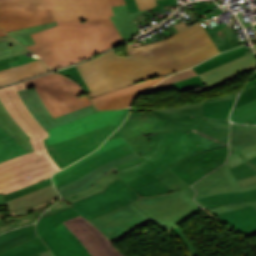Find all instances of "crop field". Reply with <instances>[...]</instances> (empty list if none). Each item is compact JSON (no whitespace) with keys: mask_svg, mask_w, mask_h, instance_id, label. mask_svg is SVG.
<instances>
[{"mask_svg":"<svg viewBox=\"0 0 256 256\" xmlns=\"http://www.w3.org/2000/svg\"><path fill=\"white\" fill-rule=\"evenodd\" d=\"M7 35L2 29H0V36Z\"/></svg>","mask_w":256,"mask_h":256,"instance_id":"56","label":"crop field"},{"mask_svg":"<svg viewBox=\"0 0 256 256\" xmlns=\"http://www.w3.org/2000/svg\"><path fill=\"white\" fill-rule=\"evenodd\" d=\"M25 54H21V55H17V56H13V57H10L7 59L0 60V70L7 69L10 67H14V66L35 60V58H27L25 56ZM37 59H39V58H37Z\"/></svg>","mask_w":256,"mask_h":256,"instance_id":"42","label":"crop field"},{"mask_svg":"<svg viewBox=\"0 0 256 256\" xmlns=\"http://www.w3.org/2000/svg\"><path fill=\"white\" fill-rule=\"evenodd\" d=\"M232 20L235 23H233L230 26H227L223 23L217 25L214 18L202 21V24L206 28L207 32L215 42L220 52L240 46L239 41L237 40V38L235 37L234 33L231 30V26L237 24V21L235 17Z\"/></svg>","mask_w":256,"mask_h":256,"instance_id":"22","label":"crop field"},{"mask_svg":"<svg viewBox=\"0 0 256 256\" xmlns=\"http://www.w3.org/2000/svg\"><path fill=\"white\" fill-rule=\"evenodd\" d=\"M28 51L27 48L23 47L9 36L0 37V59Z\"/></svg>","mask_w":256,"mask_h":256,"instance_id":"37","label":"crop field"},{"mask_svg":"<svg viewBox=\"0 0 256 256\" xmlns=\"http://www.w3.org/2000/svg\"><path fill=\"white\" fill-rule=\"evenodd\" d=\"M57 72L71 77L72 79H74L76 82H78L81 85V87L84 89L85 93L89 92L88 87L84 83L83 79L81 78V76L78 73L75 66L71 67V68H68V69L60 70V71H57Z\"/></svg>","mask_w":256,"mask_h":256,"instance_id":"44","label":"crop field"},{"mask_svg":"<svg viewBox=\"0 0 256 256\" xmlns=\"http://www.w3.org/2000/svg\"><path fill=\"white\" fill-rule=\"evenodd\" d=\"M51 180L50 178L45 180V181H42V182H39L37 184H34V185H31V186H28V187H25L23 189H20V190H17V191H14L12 193H9L7 195H4V199L7 201V200H11V199H14V198H17L19 196H22V195H25V194H28L34 190H37L39 188H42L46 185H49L51 184Z\"/></svg>","mask_w":256,"mask_h":256,"instance_id":"41","label":"crop field"},{"mask_svg":"<svg viewBox=\"0 0 256 256\" xmlns=\"http://www.w3.org/2000/svg\"><path fill=\"white\" fill-rule=\"evenodd\" d=\"M130 108L116 111H99L79 120L48 129L46 147L55 162L64 168L97 149L82 123L97 117L129 111Z\"/></svg>","mask_w":256,"mask_h":256,"instance_id":"6","label":"crop field"},{"mask_svg":"<svg viewBox=\"0 0 256 256\" xmlns=\"http://www.w3.org/2000/svg\"><path fill=\"white\" fill-rule=\"evenodd\" d=\"M50 71L52 70L46 67L41 59L32 61L21 66L0 71V86Z\"/></svg>","mask_w":256,"mask_h":256,"instance_id":"24","label":"crop field"},{"mask_svg":"<svg viewBox=\"0 0 256 256\" xmlns=\"http://www.w3.org/2000/svg\"><path fill=\"white\" fill-rule=\"evenodd\" d=\"M196 123L160 119L147 112L131 111L124 124L108 139L123 136L139 154L150 148L145 135L180 129H195ZM140 135V136H138Z\"/></svg>","mask_w":256,"mask_h":256,"instance_id":"9","label":"crop field"},{"mask_svg":"<svg viewBox=\"0 0 256 256\" xmlns=\"http://www.w3.org/2000/svg\"><path fill=\"white\" fill-rule=\"evenodd\" d=\"M0 127L3 128L14 140H16L28 152L33 151L28 137L14 122L9 113L0 102Z\"/></svg>","mask_w":256,"mask_h":256,"instance_id":"30","label":"crop field"},{"mask_svg":"<svg viewBox=\"0 0 256 256\" xmlns=\"http://www.w3.org/2000/svg\"><path fill=\"white\" fill-rule=\"evenodd\" d=\"M249 205H252L256 209V201H255V202H243V203L230 204V205L211 209V211H213L215 214H217L220 212L230 211V210L242 208V207L249 206Z\"/></svg>","mask_w":256,"mask_h":256,"instance_id":"45","label":"crop field"},{"mask_svg":"<svg viewBox=\"0 0 256 256\" xmlns=\"http://www.w3.org/2000/svg\"><path fill=\"white\" fill-rule=\"evenodd\" d=\"M236 99L220 102L203 103L205 117L220 118L228 120L231 108Z\"/></svg>","mask_w":256,"mask_h":256,"instance_id":"35","label":"crop field"},{"mask_svg":"<svg viewBox=\"0 0 256 256\" xmlns=\"http://www.w3.org/2000/svg\"><path fill=\"white\" fill-rule=\"evenodd\" d=\"M215 6H216L215 4H211V5H209V7L203 8L202 11L204 12V11L212 10L213 7H215ZM217 8H218V7H217Z\"/></svg>","mask_w":256,"mask_h":256,"instance_id":"53","label":"crop field"},{"mask_svg":"<svg viewBox=\"0 0 256 256\" xmlns=\"http://www.w3.org/2000/svg\"><path fill=\"white\" fill-rule=\"evenodd\" d=\"M253 118H256V100L239 108L233 109L230 116V119L237 123H244Z\"/></svg>","mask_w":256,"mask_h":256,"instance_id":"38","label":"crop field"},{"mask_svg":"<svg viewBox=\"0 0 256 256\" xmlns=\"http://www.w3.org/2000/svg\"><path fill=\"white\" fill-rule=\"evenodd\" d=\"M254 56L255 54L254 52H252L248 55L216 67L212 70L201 73L198 76L207 84L208 88L210 89L212 87L221 85L244 72L254 70L256 68V57ZM196 75L197 74L192 68L181 71L166 78L165 80L144 93L171 89L172 87L170 83L190 78Z\"/></svg>","mask_w":256,"mask_h":256,"instance_id":"14","label":"crop field"},{"mask_svg":"<svg viewBox=\"0 0 256 256\" xmlns=\"http://www.w3.org/2000/svg\"><path fill=\"white\" fill-rule=\"evenodd\" d=\"M77 215L79 213L71 207L38 221L37 232L55 256H91L74 234L61 223Z\"/></svg>","mask_w":256,"mask_h":256,"instance_id":"10","label":"crop field"},{"mask_svg":"<svg viewBox=\"0 0 256 256\" xmlns=\"http://www.w3.org/2000/svg\"><path fill=\"white\" fill-rule=\"evenodd\" d=\"M156 1H157L158 6L151 9L153 14H154V12H157L159 9H161L164 6L177 4V0H156Z\"/></svg>","mask_w":256,"mask_h":256,"instance_id":"49","label":"crop field"},{"mask_svg":"<svg viewBox=\"0 0 256 256\" xmlns=\"http://www.w3.org/2000/svg\"><path fill=\"white\" fill-rule=\"evenodd\" d=\"M255 156H256V144L240 149L236 152H233L232 154L229 155L226 163L229 166V168H231ZM238 182L240 183L241 186L256 182V175L242 179V180H238Z\"/></svg>","mask_w":256,"mask_h":256,"instance_id":"32","label":"crop field"},{"mask_svg":"<svg viewBox=\"0 0 256 256\" xmlns=\"http://www.w3.org/2000/svg\"><path fill=\"white\" fill-rule=\"evenodd\" d=\"M136 157L134 152L58 187L61 201L40 218L73 206L110 240L147 219L146 216L166 231L201 208L183 191L173 192L155 177L169 170L164 165L125 184L113 173V167Z\"/></svg>","mask_w":256,"mask_h":256,"instance_id":"1","label":"crop field"},{"mask_svg":"<svg viewBox=\"0 0 256 256\" xmlns=\"http://www.w3.org/2000/svg\"><path fill=\"white\" fill-rule=\"evenodd\" d=\"M256 200V189L246 192L237 193H225L212 195L195 201L202 205L204 208L211 209L225 204L243 202V201H255Z\"/></svg>","mask_w":256,"mask_h":256,"instance_id":"26","label":"crop field"},{"mask_svg":"<svg viewBox=\"0 0 256 256\" xmlns=\"http://www.w3.org/2000/svg\"><path fill=\"white\" fill-rule=\"evenodd\" d=\"M237 15H238V17H239L241 23L244 25V27L251 26V23L245 24V22H244V20H243V18H242V16H241V14H240V12L237 13Z\"/></svg>","mask_w":256,"mask_h":256,"instance_id":"52","label":"crop field"},{"mask_svg":"<svg viewBox=\"0 0 256 256\" xmlns=\"http://www.w3.org/2000/svg\"><path fill=\"white\" fill-rule=\"evenodd\" d=\"M254 28H255V30H256V25H254Z\"/></svg>","mask_w":256,"mask_h":256,"instance_id":"58","label":"crop field"},{"mask_svg":"<svg viewBox=\"0 0 256 256\" xmlns=\"http://www.w3.org/2000/svg\"><path fill=\"white\" fill-rule=\"evenodd\" d=\"M216 216L247 238L256 234V210L252 206L220 213Z\"/></svg>","mask_w":256,"mask_h":256,"instance_id":"20","label":"crop field"},{"mask_svg":"<svg viewBox=\"0 0 256 256\" xmlns=\"http://www.w3.org/2000/svg\"><path fill=\"white\" fill-rule=\"evenodd\" d=\"M48 250V248L42 243L39 237H35L13 249H10L0 256H29Z\"/></svg>","mask_w":256,"mask_h":256,"instance_id":"34","label":"crop field"},{"mask_svg":"<svg viewBox=\"0 0 256 256\" xmlns=\"http://www.w3.org/2000/svg\"><path fill=\"white\" fill-rule=\"evenodd\" d=\"M193 4H194V6H195V8H196V10H197V12H198V14L203 18V20L208 19V18H212V17H215V16L221 14V12H217V13H214V14H210V15L205 16V15L201 12L200 8L206 7L207 4H206L205 2H198V3H193Z\"/></svg>","mask_w":256,"mask_h":256,"instance_id":"48","label":"crop field"},{"mask_svg":"<svg viewBox=\"0 0 256 256\" xmlns=\"http://www.w3.org/2000/svg\"><path fill=\"white\" fill-rule=\"evenodd\" d=\"M131 110L151 112L161 118L197 122L196 130L206 148L211 149L228 144L229 121L204 118L202 101L161 109Z\"/></svg>","mask_w":256,"mask_h":256,"instance_id":"8","label":"crop field"},{"mask_svg":"<svg viewBox=\"0 0 256 256\" xmlns=\"http://www.w3.org/2000/svg\"><path fill=\"white\" fill-rule=\"evenodd\" d=\"M115 16H112L111 19L115 26L117 27L118 31L122 35L123 39H130L137 34L141 33L138 28L135 26L132 18L146 13L147 11L135 12V13H128L126 6H115L112 7Z\"/></svg>","mask_w":256,"mask_h":256,"instance_id":"25","label":"crop field"},{"mask_svg":"<svg viewBox=\"0 0 256 256\" xmlns=\"http://www.w3.org/2000/svg\"><path fill=\"white\" fill-rule=\"evenodd\" d=\"M134 151L135 150L124 140L123 137L105 141L104 144L92 154L54 174L52 176L53 183L55 187L62 186L108 161L122 157Z\"/></svg>","mask_w":256,"mask_h":256,"instance_id":"13","label":"crop field"},{"mask_svg":"<svg viewBox=\"0 0 256 256\" xmlns=\"http://www.w3.org/2000/svg\"><path fill=\"white\" fill-rule=\"evenodd\" d=\"M252 48L251 47H248L246 48L245 46H241L237 49H234V50H231V51H227V52H223L217 56H215L214 58L198 65V66H195L193 67V69L195 70V72L197 74L201 73V72H204V71H207L209 69H212L216 66H219L221 64H224L228 61H231L235 58H238L240 56H243L247 53H250L252 52Z\"/></svg>","mask_w":256,"mask_h":256,"instance_id":"31","label":"crop field"},{"mask_svg":"<svg viewBox=\"0 0 256 256\" xmlns=\"http://www.w3.org/2000/svg\"><path fill=\"white\" fill-rule=\"evenodd\" d=\"M33 256H39V254H37V255H33Z\"/></svg>","mask_w":256,"mask_h":256,"instance_id":"59","label":"crop field"},{"mask_svg":"<svg viewBox=\"0 0 256 256\" xmlns=\"http://www.w3.org/2000/svg\"><path fill=\"white\" fill-rule=\"evenodd\" d=\"M56 21L50 0H0V27L6 32Z\"/></svg>","mask_w":256,"mask_h":256,"instance_id":"11","label":"crop field"},{"mask_svg":"<svg viewBox=\"0 0 256 256\" xmlns=\"http://www.w3.org/2000/svg\"><path fill=\"white\" fill-rule=\"evenodd\" d=\"M59 199V196L55 197L54 199L50 200L49 202L39 205L37 207L25 208L13 212H9L11 217L3 220L0 218V233L5 232L9 229L28 225L36 221L38 216L41 214L39 212H35L33 209L43 207L49 204L55 203ZM5 204L4 199L0 194V205ZM1 216V214H0Z\"/></svg>","mask_w":256,"mask_h":256,"instance_id":"23","label":"crop field"},{"mask_svg":"<svg viewBox=\"0 0 256 256\" xmlns=\"http://www.w3.org/2000/svg\"><path fill=\"white\" fill-rule=\"evenodd\" d=\"M56 25H57L56 22L47 23V24H43L40 26H36V27H32V28H28V29H24V30H20V31L9 32L8 34H10L12 37H14L16 40H18L23 45L28 46V45L34 44L30 34L40 31V30H43V29H46V28H49V27L56 26Z\"/></svg>","mask_w":256,"mask_h":256,"instance_id":"39","label":"crop field"},{"mask_svg":"<svg viewBox=\"0 0 256 256\" xmlns=\"http://www.w3.org/2000/svg\"><path fill=\"white\" fill-rule=\"evenodd\" d=\"M254 78H256V72L250 77L249 80H252V79H254Z\"/></svg>","mask_w":256,"mask_h":256,"instance_id":"57","label":"crop field"},{"mask_svg":"<svg viewBox=\"0 0 256 256\" xmlns=\"http://www.w3.org/2000/svg\"><path fill=\"white\" fill-rule=\"evenodd\" d=\"M41 256H54L51 251H48L46 253H42Z\"/></svg>","mask_w":256,"mask_h":256,"instance_id":"54","label":"crop field"},{"mask_svg":"<svg viewBox=\"0 0 256 256\" xmlns=\"http://www.w3.org/2000/svg\"><path fill=\"white\" fill-rule=\"evenodd\" d=\"M19 94L23 99L26 107L45 129L55 127L60 124L70 122L78 118L84 117L86 115L92 114L94 112H97L95 107L91 105L78 111L72 112L70 114L53 119L47 111L44 104L42 103L41 99L39 98L35 88L20 91Z\"/></svg>","mask_w":256,"mask_h":256,"instance_id":"18","label":"crop field"},{"mask_svg":"<svg viewBox=\"0 0 256 256\" xmlns=\"http://www.w3.org/2000/svg\"><path fill=\"white\" fill-rule=\"evenodd\" d=\"M164 78V76H160L132 85H128L122 89L111 91L101 96H97L91 99V101L97 106L98 109H120L128 107L131 105L134 98L138 94L142 93L152 85L160 82Z\"/></svg>","mask_w":256,"mask_h":256,"instance_id":"19","label":"crop field"},{"mask_svg":"<svg viewBox=\"0 0 256 256\" xmlns=\"http://www.w3.org/2000/svg\"><path fill=\"white\" fill-rule=\"evenodd\" d=\"M147 137L151 143L150 150L115 167V174L127 184L163 164L168 167L191 153L205 150L196 130L172 131Z\"/></svg>","mask_w":256,"mask_h":256,"instance_id":"5","label":"crop field"},{"mask_svg":"<svg viewBox=\"0 0 256 256\" xmlns=\"http://www.w3.org/2000/svg\"><path fill=\"white\" fill-rule=\"evenodd\" d=\"M58 25L112 16L108 0H51Z\"/></svg>","mask_w":256,"mask_h":256,"instance_id":"16","label":"crop field"},{"mask_svg":"<svg viewBox=\"0 0 256 256\" xmlns=\"http://www.w3.org/2000/svg\"><path fill=\"white\" fill-rule=\"evenodd\" d=\"M256 143V126L231 124L230 153Z\"/></svg>","mask_w":256,"mask_h":256,"instance_id":"28","label":"crop field"},{"mask_svg":"<svg viewBox=\"0 0 256 256\" xmlns=\"http://www.w3.org/2000/svg\"><path fill=\"white\" fill-rule=\"evenodd\" d=\"M32 37L36 45L27 48L53 69L77 63L124 42L110 17L56 26Z\"/></svg>","mask_w":256,"mask_h":256,"instance_id":"3","label":"crop field"},{"mask_svg":"<svg viewBox=\"0 0 256 256\" xmlns=\"http://www.w3.org/2000/svg\"><path fill=\"white\" fill-rule=\"evenodd\" d=\"M179 31L167 40L133 48L125 44L127 57L111 50L91 61L76 65L89 87V99L145 79L192 67L219 50L201 22L174 25Z\"/></svg>","mask_w":256,"mask_h":256,"instance_id":"2","label":"crop field"},{"mask_svg":"<svg viewBox=\"0 0 256 256\" xmlns=\"http://www.w3.org/2000/svg\"><path fill=\"white\" fill-rule=\"evenodd\" d=\"M25 89L23 82L0 89L1 102L19 127L32 138L30 141L34 150L0 163L2 195L45 180L60 170L50 157L43 141L49 133L34 119L17 92Z\"/></svg>","mask_w":256,"mask_h":256,"instance_id":"4","label":"crop field"},{"mask_svg":"<svg viewBox=\"0 0 256 256\" xmlns=\"http://www.w3.org/2000/svg\"><path fill=\"white\" fill-rule=\"evenodd\" d=\"M168 188L173 191L177 189L183 190L187 195L193 198L195 191L187 185L182 179H180L175 173L171 170L157 176Z\"/></svg>","mask_w":256,"mask_h":256,"instance_id":"36","label":"crop field"},{"mask_svg":"<svg viewBox=\"0 0 256 256\" xmlns=\"http://www.w3.org/2000/svg\"><path fill=\"white\" fill-rule=\"evenodd\" d=\"M126 113L97 118L84 123L97 148L123 122Z\"/></svg>","mask_w":256,"mask_h":256,"instance_id":"21","label":"crop field"},{"mask_svg":"<svg viewBox=\"0 0 256 256\" xmlns=\"http://www.w3.org/2000/svg\"><path fill=\"white\" fill-rule=\"evenodd\" d=\"M148 222H150L149 219L127 230L111 241H109L102 232H100L81 215L76 218L69 219L63 223L71 230L72 233L76 235L82 244L89 250L92 256H124L113 245V242L125 237Z\"/></svg>","mask_w":256,"mask_h":256,"instance_id":"15","label":"crop field"},{"mask_svg":"<svg viewBox=\"0 0 256 256\" xmlns=\"http://www.w3.org/2000/svg\"><path fill=\"white\" fill-rule=\"evenodd\" d=\"M254 99H256V79L247 82L235 107H239V106H241L245 103H248Z\"/></svg>","mask_w":256,"mask_h":256,"instance_id":"40","label":"crop field"},{"mask_svg":"<svg viewBox=\"0 0 256 256\" xmlns=\"http://www.w3.org/2000/svg\"><path fill=\"white\" fill-rule=\"evenodd\" d=\"M139 10L151 9L157 6L155 0H136Z\"/></svg>","mask_w":256,"mask_h":256,"instance_id":"47","label":"crop field"},{"mask_svg":"<svg viewBox=\"0 0 256 256\" xmlns=\"http://www.w3.org/2000/svg\"><path fill=\"white\" fill-rule=\"evenodd\" d=\"M37 236L34 224L0 234V253Z\"/></svg>","mask_w":256,"mask_h":256,"instance_id":"29","label":"crop field"},{"mask_svg":"<svg viewBox=\"0 0 256 256\" xmlns=\"http://www.w3.org/2000/svg\"><path fill=\"white\" fill-rule=\"evenodd\" d=\"M201 85H205V83L198 76L176 83H172V86L176 92L194 88Z\"/></svg>","mask_w":256,"mask_h":256,"instance_id":"43","label":"crop field"},{"mask_svg":"<svg viewBox=\"0 0 256 256\" xmlns=\"http://www.w3.org/2000/svg\"><path fill=\"white\" fill-rule=\"evenodd\" d=\"M246 123H248V124H256V119H254V120H251V121H249V122H246Z\"/></svg>","mask_w":256,"mask_h":256,"instance_id":"55","label":"crop field"},{"mask_svg":"<svg viewBox=\"0 0 256 256\" xmlns=\"http://www.w3.org/2000/svg\"><path fill=\"white\" fill-rule=\"evenodd\" d=\"M175 235L181 240V242L184 244V246L186 247L189 256H196V252L193 249V247L191 246L189 240L187 239V237L179 230L178 227H174L173 229H171Z\"/></svg>","mask_w":256,"mask_h":256,"instance_id":"46","label":"crop field"},{"mask_svg":"<svg viewBox=\"0 0 256 256\" xmlns=\"http://www.w3.org/2000/svg\"><path fill=\"white\" fill-rule=\"evenodd\" d=\"M23 153L27 151L0 128V162Z\"/></svg>","mask_w":256,"mask_h":256,"instance_id":"33","label":"crop field"},{"mask_svg":"<svg viewBox=\"0 0 256 256\" xmlns=\"http://www.w3.org/2000/svg\"><path fill=\"white\" fill-rule=\"evenodd\" d=\"M226 148L191 155L170 169L191 185L225 162L228 154V147Z\"/></svg>","mask_w":256,"mask_h":256,"instance_id":"17","label":"crop field"},{"mask_svg":"<svg viewBox=\"0 0 256 256\" xmlns=\"http://www.w3.org/2000/svg\"><path fill=\"white\" fill-rule=\"evenodd\" d=\"M112 6L125 4L124 0H109Z\"/></svg>","mask_w":256,"mask_h":256,"instance_id":"51","label":"crop field"},{"mask_svg":"<svg viewBox=\"0 0 256 256\" xmlns=\"http://www.w3.org/2000/svg\"><path fill=\"white\" fill-rule=\"evenodd\" d=\"M254 174H256V157L231 169L224 163L217 170L193 185V188L197 191L195 199L217 193L255 189L256 183L240 187L236 181Z\"/></svg>","mask_w":256,"mask_h":256,"instance_id":"12","label":"crop field"},{"mask_svg":"<svg viewBox=\"0 0 256 256\" xmlns=\"http://www.w3.org/2000/svg\"><path fill=\"white\" fill-rule=\"evenodd\" d=\"M56 195L58 194L56 193L53 185L51 184L28 195L11 201H7L6 203L8 205V211H12L24 207L37 206L41 203L47 202Z\"/></svg>","mask_w":256,"mask_h":256,"instance_id":"27","label":"crop field"},{"mask_svg":"<svg viewBox=\"0 0 256 256\" xmlns=\"http://www.w3.org/2000/svg\"><path fill=\"white\" fill-rule=\"evenodd\" d=\"M35 87L53 118L91 105L82 88L74 80L57 72L24 82Z\"/></svg>","mask_w":256,"mask_h":256,"instance_id":"7","label":"crop field"},{"mask_svg":"<svg viewBox=\"0 0 256 256\" xmlns=\"http://www.w3.org/2000/svg\"><path fill=\"white\" fill-rule=\"evenodd\" d=\"M125 2H126V6L128 8L129 13L139 11L135 3V0H125Z\"/></svg>","mask_w":256,"mask_h":256,"instance_id":"50","label":"crop field"}]
</instances>
